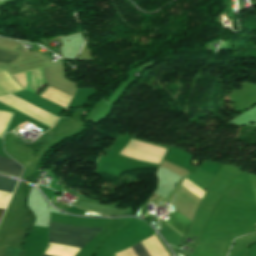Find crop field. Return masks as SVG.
Here are the masks:
<instances>
[{"label":"crop field","mask_w":256,"mask_h":256,"mask_svg":"<svg viewBox=\"0 0 256 256\" xmlns=\"http://www.w3.org/2000/svg\"><path fill=\"white\" fill-rule=\"evenodd\" d=\"M102 229L104 228L72 226L50 221L49 242L83 248Z\"/></svg>","instance_id":"crop-field-1"},{"label":"crop field","mask_w":256,"mask_h":256,"mask_svg":"<svg viewBox=\"0 0 256 256\" xmlns=\"http://www.w3.org/2000/svg\"><path fill=\"white\" fill-rule=\"evenodd\" d=\"M50 102H53L63 108H66L71 96L60 92L50 86L47 87V89L42 93V95L40 96Z\"/></svg>","instance_id":"crop-field-2"},{"label":"crop field","mask_w":256,"mask_h":256,"mask_svg":"<svg viewBox=\"0 0 256 256\" xmlns=\"http://www.w3.org/2000/svg\"><path fill=\"white\" fill-rule=\"evenodd\" d=\"M170 217H172L171 219H169L168 221H166L176 232H178L181 236L184 237V235L187 233L189 226H190V222L187 221L183 216H181L178 212L175 211V213L173 215H171ZM166 222H164L165 224H167ZM167 224V225H168ZM168 225V226H169ZM169 226V227H170Z\"/></svg>","instance_id":"crop-field-3"},{"label":"crop field","mask_w":256,"mask_h":256,"mask_svg":"<svg viewBox=\"0 0 256 256\" xmlns=\"http://www.w3.org/2000/svg\"><path fill=\"white\" fill-rule=\"evenodd\" d=\"M0 85L8 94L23 91L20 85L2 68H0Z\"/></svg>","instance_id":"crop-field-4"},{"label":"crop field","mask_w":256,"mask_h":256,"mask_svg":"<svg viewBox=\"0 0 256 256\" xmlns=\"http://www.w3.org/2000/svg\"><path fill=\"white\" fill-rule=\"evenodd\" d=\"M0 170L19 176L22 168L16 162L0 157Z\"/></svg>","instance_id":"crop-field-5"},{"label":"crop field","mask_w":256,"mask_h":256,"mask_svg":"<svg viewBox=\"0 0 256 256\" xmlns=\"http://www.w3.org/2000/svg\"><path fill=\"white\" fill-rule=\"evenodd\" d=\"M17 181L0 177V190L12 193ZM4 210L0 209V218Z\"/></svg>","instance_id":"crop-field-6"},{"label":"crop field","mask_w":256,"mask_h":256,"mask_svg":"<svg viewBox=\"0 0 256 256\" xmlns=\"http://www.w3.org/2000/svg\"><path fill=\"white\" fill-rule=\"evenodd\" d=\"M131 249L136 254V256H149L145 249L143 248V246L141 245V243L132 246Z\"/></svg>","instance_id":"crop-field-7"},{"label":"crop field","mask_w":256,"mask_h":256,"mask_svg":"<svg viewBox=\"0 0 256 256\" xmlns=\"http://www.w3.org/2000/svg\"><path fill=\"white\" fill-rule=\"evenodd\" d=\"M16 55L17 54H15V53H11V52L0 50V60L1 61L8 62L11 59H13L14 57H16Z\"/></svg>","instance_id":"crop-field-8"},{"label":"crop field","mask_w":256,"mask_h":256,"mask_svg":"<svg viewBox=\"0 0 256 256\" xmlns=\"http://www.w3.org/2000/svg\"><path fill=\"white\" fill-rule=\"evenodd\" d=\"M7 93L0 87V96L6 95Z\"/></svg>","instance_id":"crop-field-9"}]
</instances>
